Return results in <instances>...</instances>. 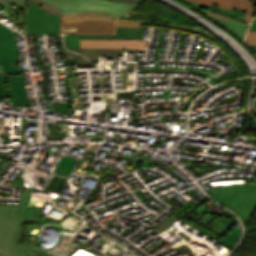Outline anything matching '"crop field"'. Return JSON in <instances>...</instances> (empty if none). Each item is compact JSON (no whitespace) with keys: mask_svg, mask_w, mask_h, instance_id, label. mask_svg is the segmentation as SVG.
<instances>
[{"mask_svg":"<svg viewBox=\"0 0 256 256\" xmlns=\"http://www.w3.org/2000/svg\"><path fill=\"white\" fill-rule=\"evenodd\" d=\"M32 189H23L19 206L0 204V249L11 256H31L40 251L31 245H16L21 222L26 218L39 221L41 208L29 207Z\"/></svg>","mask_w":256,"mask_h":256,"instance_id":"8a807250","label":"crop field"},{"mask_svg":"<svg viewBox=\"0 0 256 256\" xmlns=\"http://www.w3.org/2000/svg\"><path fill=\"white\" fill-rule=\"evenodd\" d=\"M207 192L225 207L238 214L244 225L256 208V179L253 184L233 185Z\"/></svg>","mask_w":256,"mask_h":256,"instance_id":"ac0d7876","label":"crop field"},{"mask_svg":"<svg viewBox=\"0 0 256 256\" xmlns=\"http://www.w3.org/2000/svg\"><path fill=\"white\" fill-rule=\"evenodd\" d=\"M61 33H114L113 18L93 16H61Z\"/></svg>","mask_w":256,"mask_h":256,"instance_id":"34b2d1b8","label":"crop field"},{"mask_svg":"<svg viewBox=\"0 0 256 256\" xmlns=\"http://www.w3.org/2000/svg\"><path fill=\"white\" fill-rule=\"evenodd\" d=\"M60 16L30 2L27 9L26 34H59Z\"/></svg>","mask_w":256,"mask_h":256,"instance_id":"412701ff","label":"crop field"},{"mask_svg":"<svg viewBox=\"0 0 256 256\" xmlns=\"http://www.w3.org/2000/svg\"><path fill=\"white\" fill-rule=\"evenodd\" d=\"M19 61L14 31L0 24V64L6 73L21 74V67L13 68L12 62Z\"/></svg>","mask_w":256,"mask_h":256,"instance_id":"f4fd0767","label":"crop field"},{"mask_svg":"<svg viewBox=\"0 0 256 256\" xmlns=\"http://www.w3.org/2000/svg\"><path fill=\"white\" fill-rule=\"evenodd\" d=\"M201 12L213 19L217 24L222 26L224 29L235 35L237 38L243 41V37L247 31V27L249 25L234 19L232 17H228L222 15L220 13H214L211 11L202 10Z\"/></svg>","mask_w":256,"mask_h":256,"instance_id":"dd49c442","label":"crop field"},{"mask_svg":"<svg viewBox=\"0 0 256 256\" xmlns=\"http://www.w3.org/2000/svg\"><path fill=\"white\" fill-rule=\"evenodd\" d=\"M147 42L140 40H81V48H138L144 49Z\"/></svg>","mask_w":256,"mask_h":256,"instance_id":"e52e79f7","label":"crop field"},{"mask_svg":"<svg viewBox=\"0 0 256 256\" xmlns=\"http://www.w3.org/2000/svg\"><path fill=\"white\" fill-rule=\"evenodd\" d=\"M194 2H199L207 5H215L218 4L220 5V8H225L232 10L234 8L241 9V10H249L247 14L246 21L251 22L253 16H254V6L251 3L250 0H190Z\"/></svg>","mask_w":256,"mask_h":256,"instance_id":"d8731c3e","label":"crop field"},{"mask_svg":"<svg viewBox=\"0 0 256 256\" xmlns=\"http://www.w3.org/2000/svg\"><path fill=\"white\" fill-rule=\"evenodd\" d=\"M9 81L13 106H29L23 76H11Z\"/></svg>","mask_w":256,"mask_h":256,"instance_id":"5a996713","label":"crop field"},{"mask_svg":"<svg viewBox=\"0 0 256 256\" xmlns=\"http://www.w3.org/2000/svg\"><path fill=\"white\" fill-rule=\"evenodd\" d=\"M117 35H81V39H139L141 28H116Z\"/></svg>","mask_w":256,"mask_h":256,"instance_id":"3316defc","label":"crop field"},{"mask_svg":"<svg viewBox=\"0 0 256 256\" xmlns=\"http://www.w3.org/2000/svg\"><path fill=\"white\" fill-rule=\"evenodd\" d=\"M191 226H193L195 229L199 230L200 232L204 233L208 237L212 238L213 240L217 241L218 243H220L221 245L225 246L226 248H228L230 250L233 248V246L239 240V237L241 235V227L234 229L232 232H230L225 237L220 238V237L214 235L213 233H211L205 229H202L194 224Z\"/></svg>","mask_w":256,"mask_h":256,"instance_id":"28ad6ade","label":"crop field"},{"mask_svg":"<svg viewBox=\"0 0 256 256\" xmlns=\"http://www.w3.org/2000/svg\"><path fill=\"white\" fill-rule=\"evenodd\" d=\"M141 24H153V25H159V26H165V27H171V28H178V29H183V30H187L189 28L187 27H181V26H175V25H167V24H160V23H148V22H140V21H132V20H122V19H118V23L117 26H131V27H140ZM194 33H198L201 34L205 37H208L212 40H214L212 37H210L207 33L205 32H194Z\"/></svg>","mask_w":256,"mask_h":256,"instance_id":"d1516ede","label":"crop field"},{"mask_svg":"<svg viewBox=\"0 0 256 256\" xmlns=\"http://www.w3.org/2000/svg\"><path fill=\"white\" fill-rule=\"evenodd\" d=\"M207 229L221 237L226 235L231 230L230 227L226 226L225 224H223L217 220L214 221L211 226L207 227Z\"/></svg>","mask_w":256,"mask_h":256,"instance_id":"22f410ed","label":"crop field"},{"mask_svg":"<svg viewBox=\"0 0 256 256\" xmlns=\"http://www.w3.org/2000/svg\"><path fill=\"white\" fill-rule=\"evenodd\" d=\"M209 201L207 198L203 199L202 201H200L198 204L196 205H192L190 202L187 203L186 205H184L183 207H181L179 210H177L175 213H173V215L179 217V218H183L184 216H186L188 213H190L193 209H195L197 206L201 205L202 203H205Z\"/></svg>","mask_w":256,"mask_h":256,"instance_id":"cbeb9de0","label":"crop field"},{"mask_svg":"<svg viewBox=\"0 0 256 256\" xmlns=\"http://www.w3.org/2000/svg\"><path fill=\"white\" fill-rule=\"evenodd\" d=\"M27 0H0V5L3 6L7 11L9 4H15L16 6L25 10Z\"/></svg>","mask_w":256,"mask_h":256,"instance_id":"5142ce71","label":"crop field"},{"mask_svg":"<svg viewBox=\"0 0 256 256\" xmlns=\"http://www.w3.org/2000/svg\"><path fill=\"white\" fill-rule=\"evenodd\" d=\"M66 45L69 48H80V35H66Z\"/></svg>","mask_w":256,"mask_h":256,"instance_id":"d9b57169","label":"crop field"},{"mask_svg":"<svg viewBox=\"0 0 256 256\" xmlns=\"http://www.w3.org/2000/svg\"><path fill=\"white\" fill-rule=\"evenodd\" d=\"M197 208H198V209H197L196 213H194V214H192V215H193V216L197 215V217L200 218L201 215L204 214L202 211L205 210V209H207V208H205V207L202 206V205L199 206V207H197ZM191 217H192V216H191ZM202 218H203V221H202L201 223H203L204 225H207L208 222L211 221V220H213V219H215L216 216H212V217L205 216V217H202ZM190 221L195 222L196 219H195V220L191 219ZM204 228H205V227H204Z\"/></svg>","mask_w":256,"mask_h":256,"instance_id":"733c2abd","label":"crop field"},{"mask_svg":"<svg viewBox=\"0 0 256 256\" xmlns=\"http://www.w3.org/2000/svg\"><path fill=\"white\" fill-rule=\"evenodd\" d=\"M7 75H0V98L8 97L6 87H5V78Z\"/></svg>","mask_w":256,"mask_h":256,"instance_id":"4a817a6b","label":"crop field"},{"mask_svg":"<svg viewBox=\"0 0 256 256\" xmlns=\"http://www.w3.org/2000/svg\"><path fill=\"white\" fill-rule=\"evenodd\" d=\"M245 43L256 45V32L248 31L247 37L245 39Z\"/></svg>","mask_w":256,"mask_h":256,"instance_id":"bc2a9ffb","label":"crop field"},{"mask_svg":"<svg viewBox=\"0 0 256 256\" xmlns=\"http://www.w3.org/2000/svg\"><path fill=\"white\" fill-rule=\"evenodd\" d=\"M249 30L256 31V18L253 20ZM248 46L251 47L256 53V46H251V45H248Z\"/></svg>","mask_w":256,"mask_h":256,"instance_id":"214f88e0","label":"crop field"},{"mask_svg":"<svg viewBox=\"0 0 256 256\" xmlns=\"http://www.w3.org/2000/svg\"><path fill=\"white\" fill-rule=\"evenodd\" d=\"M32 256H46V255H44V254L38 252V253H36V254H34V255H32Z\"/></svg>","mask_w":256,"mask_h":256,"instance_id":"92a150f3","label":"crop field"},{"mask_svg":"<svg viewBox=\"0 0 256 256\" xmlns=\"http://www.w3.org/2000/svg\"><path fill=\"white\" fill-rule=\"evenodd\" d=\"M0 74H6L5 72H2L1 66H0Z\"/></svg>","mask_w":256,"mask_h":256,"instance_id":"dafd665d","label":"crop field"},{"mask_svg":"<svg viewBox=\"0 0 256 256\" xmlns=\"http://www.w3.org/2000/svg\"><path fill=\"white\" fill-rule=\"evenodd\" d=\"M0 256H4V255L0 254Z\"/></svg>","mask_w":256,"mask_h":256,"instance_id":"00972430","label":"crop field"}]
</instances>
